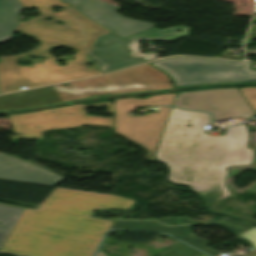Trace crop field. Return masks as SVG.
Instances as JSON below:
<instances>
[{
	"mask_svg": "<svg viewBox=\"0 0 256 256\" xmlns=\"http://www.w3.org/2000/svg\"><path fill=\"white\" fill-rule=\"evenodd\" d=\"M209 121V114L172 108L154 157L167 165L168 180L189 185L209 212L256 225L254 219L215 208L229 196L224 185L226 167L251 163L253 152L245 148L246 127H226L223 136H209L203 129Z\"/></svg>",
	"mask_w": 256,
	"mask_h": 256,
	"instance_id": "obj_1",
	"label": "crop field"
},
{
	"mask_svg": "<svg viewBox=\"0 0 256 256\" xmlns=\"http://www.w3.org/2000/svg\"><path fill=\"white\" fill-rule=\"evenodd\" d=\"M134 203L109 194L56 188L39 210L25 209L0 252L92 256L111 222L87 216L95 209H128Z\"/></svg>",
	"mask_w": 256,
	"mask_h": 256,
	"instance_id": "obj_2",
	"label": "crop field"
},
{
	"mask_svg": "<svg viewBox=\"0 0 256 256\" xmlns=\"http://www.w3.org/2000/svg\"><path fill=\"white\" fill-rule=\"evenodd\" d=\"M69 84L67 87L57 84L0 96V109L36 107L105 93L172 88L164 74L147 64Z\"/></svg>",
	"mask_w": 256,
	"mask_h": 256,
	"instance_id": "obj_3",
	"label": "crop field"
},
{
	"mask_svg": "<svg viewBox=\"0 0 256 256\" xmlns=\"http://www.w3.org/2000/svg\"><path fill=\"white\" fill-rule=\"evenodd\" d=\"M34 40L42 44L30 52L16 57H2V62H0L1 93L17 90L19 86H27L30 88L47 83L101 74V71L86 69L84 67V53L79 51L76 52L75 61H67L66 66H57L49 51L59 46L36 39ZM24 55L45 59L43 63H35L33 68L17 66L15 58ZM87 71L90 72L87 73Z\"/></svg>",
	"mask_w": 256,
	"mask_h": 256,
	"instance_id": "obj_4",
	"label": "crop field"
},
{
	"mask_svg": "<svg viewBox=\"0 0 256 256\" xmlns=\"http://www.w3.org/2000/svg\"><path fill=\"white\" fill-rule=\"evenodd\" d=\"M251 63L174 57L150 63L168 73L175 87L200 83L256 82Z\"/></svg>",
	"mask_w": 256,
	"mask_h": 256,
	"instance_id": "obj_5",
	"label": "crop field"
},
{
	"mask_svg": "<svg viewBox=\"0 0 256 256\" xmlns=\"http://www.w3.org/2000/svg\"><path fill=\"white\" fill-rule=\"evenodd\" d=\"M47 17L52 20H44ZM59 21L65 24L58 25ZM17 33L88 53L97 35L108 31L79 15L70 6L61 12H54L20 25Z\"/></svg>",
	"mask_w": 256,
	"mask_h": 256,
	"instance_id": "obj_6",
	"label": "crop field"
},
{
	"mask_svg": "<svg viewBox=\"0 0 256 256\" xmlns=\"http://www.w3.org/2000/svg\"><path fill=\"white\" fill-rule=\"evenodd\" d=\"M175 94L150 96L146 99L128 98L114 100L115 133L143 146L148 157L154 160V152L159 142L170 107H159V112L145 116L131 117L128 113L141 105H171Z\"/></svg>",
	"mask_w": 256,
	"mask_h": 256,
	"instance_id": "obj_7",
	"label": "crop field"
},
{
	"mask_svg": "<svg viewBox=\"0 0 256 256\" xmlns=\"http://www.w3.org/2000/svg\"><path fill=\"white\" fill-rule=\"evenodd\" d=\"M108 105V112L113 111V102L77 105L42 111L33 114L9 116L15 133H21L22 136H13L12 138H42V131L54 128H74L82 124L113 127L114 118H103L87 115L85 107ZM72 113V115H69ZM34 128V126H37ZM42 127V128H40Z\"/></svg>",
	"mask_w": 256,
	"mask_h": 256,
	"instance_id": "obj_8",
	"label": "crop field"
},
{
	"mask_svg": "<svg viewBox=\"0 0 256 256\" xmlns=\"http://www.w3.org/2000/svg\"><path fill=\"white\" fill-rule=\"evenodd\" d=\"M174 106L207 111L213 114V121L242 116H255L238 88H216L183 92L177 95Z\"/></svg>",
	"mask_w": 256,
	"mask_h": 256,
	"instance_id": "obj_9",
	"label": "crop field"
},
{
	"mask_svg": "<svg viewBox=\"0 0 256 256\" xmlns=\"http://www.w3.org/2000/svg\"><path fill=\"white\" fill-rule=\"evenodd\" d=\"M71 3L83 15L106 27L121 37H126L156 25L125 18L116 13L122 9L100 0H63Z\"/></svg>",
	"mask_w": 256,
	"mask_h": 256,
	"instance_id": "obj_10",
	"label": "crop field"
},
{
	"mask_svg": "<svg viewBox=\"0 0 256 256\" xmlns=\"http://www.w3.org/2000/svg\"><path fill=\"white\" fill-rule=\"evenodd\" d=\"M125 39L111 33L100 35L95 40L90 55L105 73L143 63L142 59H129Z\"/></svg>",
	"mask_w": 256,
	"mask_h": 256,
	"instance_id": "obj_11",
	"label": "crop field"
},
{
	"mask_svg": "<svg viewBox=\"0 0 256 256\" xmlns=\"http://www.w3.org/2000/svg\"><path fill=\"white\" fill-rule=\"evenodd\" d=\"M0 179L52 186L63 177L29 162L0 153Z\"/></svg>",
	"mask_w": 256,
	"mask_h": 256,
	"instance_id": "obj_12",
	"label": "crop field"
},
{
	"mask_svg": "<svg viewBox=\"0 0 256 256\" xmlns=\"http://www.w3.org/2000/svg\"><path fill=\"white\" fill-rule=\"evenodd\" d=\"M180 29L182 32H175ZM187 27H173L163 31H159L155 28L143 31L141 33L126 37L129 39L128 46L130 50L131 57H141L146 61L156 59L158 53H140L138 40H153V41H174L179 38L190 35L191 33L187 32Z\"/></svg>",
	"mask_w": 256,
	"mask_h": 256,
	"instance_id": "obj_13",
	"label": "crop field"
},
{
	"mask_svg": "<svg viewBox=\"0 0 256 256\" xmlns=\"http://www.w3.org/2000/svg\"><path fill=\"white\" fill-rule=\"evenodd\" d=\"M191 228H193V226L166 228L155 222H115V224L112 227V229L155 230V231L173 232V234L177 236L180 240L212 256H219L217 253L205 247L209 243L193 236L190 232Z\"/></svg>",
	"mask_w": 256,
	"mask_h": 256,
	"instance_id": "obj_14",
	"label": "crop field"
},
{
	"mask_svg": "<svg viewBox=\"0 0 256 256\" xmlns=\"http://www.w3.org/2000/svg\"><path fill=\"white\" fill-rule=\"evenodd\" d=\"M20 8L17 0H0V41L12 36L18 24L16 15Z\"/></svg>",
	"mask_w": 256,
	"mask_h": 256,
	"instance_id": "obj_15",
	"label": "crop field"
},
{
	"mask_svg": "<svg viewBox=\"0 0 256 256\" xmlns=\"http://www.w3.org/2000/svg\"><path fill=\"white\" fill-rule=\"evenodd\" d=\"M160 223H163L167 226H176V225H189V224H200V223H210V222H218L227 228L231 229L238 235L249 228L253 227L254 225L247 224L241 221H237L228 217H224L219 215L213 221L210 222H194L187 219V217H178V218H166V219H158L156 220Z\"/></svg>",
	"mask_w": 256,
	"mask_h": 256,
	"instance_id": "obj_16",
	"label": "crop field"
},
{
	"mask_svg": "<svg viewBox=\"0 0 256 256\" xmlns=\"http://www.w3.org/2000/svg\"><path fill=\"white\" fill-rule=\"evenodd\" d=\"M23 211V208L0 205V249Z\"/></svg>",
	"mask_w": 256,
	"mask_h": 256,
	"instance_id": "obj_17",
	"label": "crop field"
},
{
	"mask_svg": "<svg viewBox=\"0 0 256 256\" xmlns=\"http://www.w3.org/2000/svg\"><path fill=\"white\" fill-rule=\"evenodd\" d=\"M26 8H38L40 14L52 12L53 6L64 8L69 4H64L59 0H20Z\"/></svg>",
	"mask_w": 256,
	"mask_h": 256,
	"instance_id": "obj_18",
	"label": "crop field"
},
{
	"mask_svg": "<svg viewBox=\"0 0 256 256\" xmlns=\"http://www.w3.org/2000/svg\"><path fill=\"white\" fill-rule=\"evenodd\" d=\"M201 252L179 242L161 256H198Z\"/></svg>",
	"mask_w": 256,
	"mask_h": 256,
	"instance_id": "obj_19",
	"label": "crop field"
},
{
	"mask_svg": "<svg viewBox=\"0 0 256 256\" xmlns=\"http://www.w3.org/2000/svg\"><path fill=\"white\" fill-rule=\"evenodd\" d=\"M244 98L256 113V87H242L240 88Z\"/></svg>",
	"mask_w": 256,
	"mask_h": 256,
	"instance_id": "obj_20",
	"label": "crop field"
},
{
	"mask_svg": "<svg viewBox=\"0 0 256 256\" xmlns=\"http://www.w3.org/2000/svg\"><path fill=\"white\" fill-rule=\"evenodd\" d=\"M240 237L250 241L252 243L253 247L256 248V227L241 234Z\"/></svg>",
	"mask_w": 256,
	"mask_h": 256,
	"instance_id": "obj_21",
	"label": "crop field"
},
{
	"mask_svg": "<svg viewBox=\"0 0 256 256\" xmlns=\"http://www.w3.org/2000/svg\"><path fill=\"white\" fill-rule=\"evenodd\" d=\"M256 39V24L252 23L250 27L249 34L246 39V43H250ZM247 53L256 54V49L254 50H246Z\"/></svg>",
	"mask_w": 256,
	"mask_h": 256,
	"instance_id": "obj_22",
	"label": "crop field"
},
{
	"mask_svg": "<svg viewBox=\"0 0 256 256\" xmlns=\"http://www.w3.org/2000/svg\"><path fill=\"white\" fill-rule=\"evenodd\" d=\"M96 256H105L100 250H98Z\"/></svg>",
	"mask_w": 256,
	"mask_h": 256,
	"instance_id": "obj_23",
	"label": "crop field"
}]
</instances>
